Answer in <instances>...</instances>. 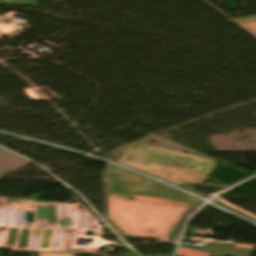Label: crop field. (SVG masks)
Segmentation results:
<instances>
[{
  "label": "crop field",
  "instance_id": "8a807250",
  "mask_svg": "<svg viewBox=\"0 0 256 256\" xmlns=\"http://www.w3.org/2000/svg\"><path fill=\"white\" fill-rule=\"evenodd\" d=\"M109 218L127 235L169 240L197 201L129 173L107 191Z\"/></svg>",
  "mask_w": 256,
  "mask_h": 256
},
{
  "label": "crop field",
  "instance_id": "f4fd0767",
  "mask_svg": "<svg viewBox=\"0 0 256 256\" xmlns=\"http://www.w3.org/2000/svg\"><path fill=\"white\" fill-rule=\"evenodd\" d=\"M256 36V17L235 20Z\"/></svg>",
  "mask_w": 256,
  "mask_h": 256
},
{
  "label": "crop field",
  "instance_id": "ac0d7876",
  "mask_svg": "<svg viewBox=\"0 0 256 256\" xmlns=\"http://www.w3.org/2000/svg\"><path fill=\"white\" fill-rule=\"evenodd\" d=\"M118 162L172 183L191 184H199L205 179L214 164L178 151L135 144H131Z\"/></svg>",
  "mask_w": 256,
  "mask_h": 256
},
{
  "label": "crop field",
  "instance_id": "412701ff",
  "mask_svg": "<svg viewBox=\"0 0 256 256\" xmlns=\"http://www.w3.org/2000/svg\"><path fill=\"white\" fill-rule=\"evenodd\" d=\"M128 172L107 164V190L122 179Z\"/></svg>",
  "mask_w": 256,
  "mask_h": 256
},
{
  "label": "crop field",
  "instance_id": "e52e79f7",
  "mask_svg": "<svg viewBox=\"0 0 256 256\" xmlns=\"http://www.w3.org/2000/svg\"><path fill=\"white\" fill-rule=\"evenodd\" d=\"M38 256H73V254L68 253H37Z\"/></svg>",
  "mask_w": 256,
  "mask_h": 256
},
{
  "label": "crop field",
  "instance_id": "34b2d1b8",
  "mask_svg": "<svg viewBox=\"0 0 256 256\" xmlns=\"http://www.w3.org/2000/svg\"><path fill=\"white\" fill-rule=\"evenodd\" d=\"M200 250L228 256H251V254L256 250V247L210 242Z\"/></svg>",
  "mask_w": 256,
  "mask_h": 256
},
{
  "label": "crop field",
  "instance_id": "dd49c442",
  "mask_svg": "<svg viewBox=\"0 0 256 256\" xmlns=\"http://www.w3.org/2000/svg\"><path fill=\"white\" fill-rule=\"evenodd\" d=\"M2 4H19V5H33L34 0H0Z\"/></svg>",
  "mask_w": 256,
  "mask_h": 256
}]
</instances>
